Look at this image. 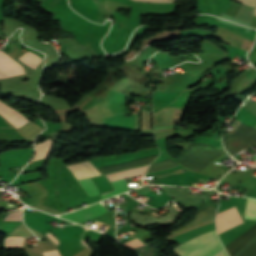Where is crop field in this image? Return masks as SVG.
I'll use <instances>...</instances> for the list:
<instances>
[{
    "label": "crop field",
    "instance_id": "20",
    "mask_svg": "<svg viewBox=\"0 0 256 256\" xmlns=\"http://www.w3.org/2000/svg\"><path fill=\"white\" fill-rule=\"evenodd\" d=\"M4 220H7V221H22L21 210L10 213L9 215L6 216V218Z\"/></svg>",
    "mask_w": 256,
    "mask_h": 256
},
{
    "label": "crop field",
    "instance_id": "25",
    "mask_svg": "<svg viewBox=\"0 0 256 256\" xmlns=\"http://www.w3.org/2000/svg\"><path fill=\"white\" fill-rule=\"evenodd\" d=\"M241 2H244L252 7H256V0H239Z\"/></svg>",
    "mask_w": 256,
    "mask_h": 256
},
{
    "label": "crop field",
    "instance_id": "14",
    "mask_svg": "<svg viewBox=\"0 0 256 256\" xmlns=\"http://www.w3.org/2000/svg\"><path fill=\"white\" fill-rule=\"evenodd\" d=\"M256 230V225L253 226L251 229H249L247 232H245L243 235L238 237L236 240L228 244V246L225 248L226 251L231 254V252L244 240L246 239L251 233H253Z\"/></svg>",
    "mask_w": 256,
    "mask_h": 256
},
{
    "label": "crop field",
    "instance_id": "26",
    "mask_svg": "<svg viewBox=\"0 0 256 256\" xmlns=\"http://www.w3.org/2000/svg\"><path fill=\"white\" fill-rule=\"evenodd\" d=\"M171 127H175V126H171ZM159 128H170V127H159ZM159 128H154V129H159ZM175 128H170V129H159V130H154L155 133H158V132H165V131H171V130H174Z\"/></svg>",
    "mask_w": 256,
    "mask_h": 256
},
{
    "label": "crop field",
    "instance_id": "2",
    "mask_svg": "<svg viewBox=\"0 0 256 256\" xmlns=\"http://www.w3.org/2000/svg\"><path fill=\"white\" fill-rule=\"evenodd\" d=\"M228 150L235 154L246 147L256 145V129L241 123L235 134L225 137Z\"/></svg>",
    "mask_w": 256,
    "mask_h": 256
},
{
    "label": "crop field",
    "instance_id": "13",
    "mask_svg": "<svg viewBox=\"0 0 256 256\" xmlns=\"http://www.w3.org/2000/svg\"><path fill=\"white\" fill-rule=\"evenodd\" d=\"M18 59L21 60L23 63L29 65L30 67L34 68V69L36 68V66L42 60L39 57L32 54L31 52H26L25 54H23Z\"/></svg>",
    "mask_w": 256,
    "mask_h": 256
},
{
    "label": "crop field",
    "instance_id": "8",
    "mask_svg": "<svg viewBox=\"0 0 256 256\" xmlns=\"http://www.w3.org/2000/svg\"><path fill=\"white\" fill-rule=\"evenodd\" d=\"M230 256H256V231L240 244Z\"/></svg>",
    "mask_w": 256,
    "mask_h": 256
},
{
    "label": "crop field",
    "instance_id": "19",
    "mask_svg": "<svg viewBox=\"0 0 256 256\" xmlns=\"http://www.w3.org/2000/svg\"><path fill=\"white\" fill-rule=\"evenodd\" d=\"M151 129V113L142 111V130Z\"/></svg>",
    "mask_w": 256,
    "mask_h": 256
},
{
    "label": "crop field",
    "instance_id": "1",
    "mask_svg": "<svg viewBox=\"0 0 256 256\" xmlns=\"http://www.w3.org/2000/svg\"><path fill=\"white\" fill-rule=\"evenodd\" d=\"M220 244L216 231H209L174 248L177 256H203Z\"/></svg>",
    "mask_w": 256,
    "mask_h": 256
},
{
    "label": "crop field",
    "instance_id": "27",
    "mask_svg": "<svg viewBox=\"0 0 256 256\" xmlns=\"http://www.w3.org/2000/svg\"><path fill=\"white\" fill-rule=\"evenodd\" d=\"M253 16H256V8L254 9V15ZM251 26L256 28V17H253V22H252Z\"/></svg>",
    "mask_w": 256,
    "mask_h": 256
},
{
    "label": "crop field",
    "instance_id": "10",
    "mask_svg": "<svg viewBox=\"0 0 256 256\" xmlns=\"http://www.w3.org/2000/svg\"><path fill=\"white\" fill-rule=\"evenodd\" d=\"M215 215H216V209H214V208L211 207V206H208L206 209H204V210L198 212L197 215H196V217H195V219H194L191 223L186 224V225H184V226H182V227H180V228H178V229L172 231V233H175V232H177V231H180V230H182V229H184V228H187V227H189V226H191V225L200 223V222H202V221L208 220V219L214 217Z\"/></svg>",
    "mask_w": 256,
    "mask_h": 256
},
{
    "label": "crop field",
    "instance_id": "17",
    "mask_svg": "<svg viewBox=\"0 0 256 256\" xmlns=\"http://www.w3.org/2000/svg\"><path fill=\"white\" fill-rule=\"evenodd\" d=\"M178 164H176L174 161H172L171 159L166 160V161H162V162H158L156 164H153L149 167L148 172H155V171H159V170H163V169H167V168H171L174 166H177Z\"/></svg>",
    "mask_w": 256,
    "mask_h": 256
},
{
    "label": "crop field",
    "instance_id": "30",
    "mask_svg": "<svg viewBox=\"0 0 256 256\" xmlns=\"http://www.w3.org/2000/svg\"><path fill=\"white\" fill-rule=\"evenodd\" d=\"M253 165H256V161L253 163Z\"/></svg>",
    "mask_w": 256,
    "mask_h": 256
},
{
    "label": "crop field",
    "instance_id": "11",
    "mask_svg": "<svg viewBox=\"0 0 256 256\" xmlns=\"http://www.w3.org/2000/svg\"><path fill=\"white\" fill-rule=\"evenodd\" d=\"M148 166L149 165L142 166V167L135 168V169L124 170V171L108 174V175H105V176L110 181L130 177V176H135V175L143 174Z\"/></svg>",
    "mask_w": 256,
    "mask_h": 256
},
{
    "label": "crop field",
    "instance_id": "15",
    "mask_svg": "<svg viewBox=\"0 0 256 256\" xmlns=\"http://www.w3.org/2000/svg\"><path fill=\"white\" fill-rule=\"evenodd\" d=\"M112 184H113L115 190L113 192L102 194L101 195L102 199L113 196V195H116V194H119V193H122V192L128 190L124 179L120 180V181L113 182Z\"/></svg>",
    "mask_w": 256,
    "mask_h": 256
},
{
    "label": "crop field",
    "instance_id": "29",
    "mask_svg": "<svg viewBox=\"0 0 256 256\" xmlns=\"http://www.w3.org/2000/svg\"><path fill=\"white\" fill-rule=\"evenodd\" d=\"M135 129H139V117H135Z\"/></svg>",
    "mask_w": 256,
    "mask_h": 256
},
{
    "label": "crop field",
    "instance_id": "22",
    "mask_svg": "<svg viewBox=\"0 0 256 256\" xmlns=\"http://www.w3.org/2000/svg\"><path fill=\"white\" fill-rule=\"evenodd\" d=\"M222 248L221 244L218 245L217 247H215L214 249H212L210 252H208L207 254H205L204 256H213L214 254H216L218 251H220Z\"/></svg>",
    "mask_w": 256,
    "mask_h": 256
},
{
    "label": "crop field",
    "instance_id": "28",
    "mask_svg": "<svg viewBox=\"0 0 256 256\" xmlns=\"http://www.w3.org/2000/svg\"><path fill=\"white\" fill-rule=\"evenodd\" d=\"M214 256H228L227 254H226V252L224 251V249L223 250H221L220 252H218L216 255H214Z\"/></svg>",
    "mask_w": 256,
    "mask_h": 256
},
{
    "label": "crop field",
    "instance_id": "5",
    "mask_svg": "<svg viewBox=\"0 0 256 256\" xmlns=\"http://www.w3.org/2000/svg\"><path fill=\"white\" fill-rule=\"evenodd\" d=\"M2 53V51H0ZM24 74V69L5 53L0 54V78Z\"/></svg>",
    "mask_w": 256,
    "mask_h": 256
},
{
    "label": "crop field",
    "instance_id": "18",
    "mask_svg": "<svg viewBox=\"0 0 256 256\" xmlns=\"http://www.w3.org/2000/svg\"><path fill=\"white\" fill-rule=\"evenodd\" d=\"M244 218L256 220V200L248 198Z\"/></svg>",
    "mask_w": 256,
    "mask_h": 256
},
{
    "label": "crop field",
    "instance_id": "9",
    "mask_svg": "<svg viewBox=\"0 0 256 256\" xmlns=\"http://www.w3.org/2000/svg\"><path fill=\"white\" fill-rule=\"evenodd\" d=\"M175 108H165L154 114L153 126H169L172 125V116Z\"/></svg>",
    "mask_w": 256,
    "mask_h": 256
},
{
    "label": "crop field",
    "instance_id": "12",
    "mask_svg": "<svg viewBox=\"0 0 256 256\" xmlns=\"http://www.w3.org/2000/svg\"><path fill=\"white\" fill-rule=\"evenodd\" d=\"M52 147L51 140H45L35 145V157L33 160L45 158ZM32 160V161H33Z\"/></svg>",
    "mask_w": 256,
    "mask_h": 256
},
{
    "label": "crop field",
    "instance_id": "3",
    "mask_svg": "<svg viewBox=\"0 0 256 256\" xmlns=\"http://www.w3.org/2000/svg\"><path fill=\"white\" fill-rule=\"evenodd\" d=\"M242 222L243 221L236 207L226 210L224 212H221L217 215V218H216V226H217L218 234Z\"/></svg>",
    "mask_w": 256,
    "mask_h": 256
},
{
    "label": "crop field",
    "instance_id": "23",
    "mask_svg": "<svg viewBox=\"0 0 256 256\" xmlns=\"http://www.w3.org/2000/svg\"><path fill=\"white\" fill-rule=\"evenodd\" d=\"M11 128L5 121L4 119L0 116V129H7Z\"/></svg>",
    "mask_w": 256,
    "mask_h": 256
},
{
    "label": "crop field",
    "instance_id": "31",
    "mask_svg": "<svg viewBox=\"0 0 256 256\" xmlns=\"http://www.w3.org/2000/svg\"><path fill=\"white\" fill-rule=\"evenodd\" d=\"M206 201V200H205Z\"/></svg>",
    "mask_w": 256,
    "mask_h": 256
},
{
    "label": "crop field",
    "instance_id": "4",
    "mask_svg": "<svg viewBox=\"0 0 256 256\" xmlns=\"http://www.w3.org/2000/svg\"><path fill=\"white\" fill-rule=\"evenodd\" d=\"M104 212H106V210L99 203H97L95 205L89 206L78 211L71 212L69 214L60 215V217H63L76 223H80L92 219Z\"/></svg>",
    "mask_w": 256,
    "mask_h": 256
},
{
    "label": "crop field",
    "instance_id": "24",
    "mask_svg": "<svg viewBox=\"0 0 256 256\" xmlns=\"http://www.w3.org/2000/svg\"><path fill=\"white\" fill-rule=\"evenodd\" d=\"M42 254H43V256H60L59 253L57 252V250L44 252Z\"/></svg>",
    "mask_w": 256,
    "mask_h": 256
},
{
    "label": "crop field",
    "instance_id": "21",
    "mask_svg": "<svg viewBox=\"0 0 256 256\" xmlns=\"http://www.w3.org/2000/svg\"><path fill=\"white\" fill-rule=\"evenodd\" d=\"M133 1L156 2V3H170V2H176L175 0H133Z\"/></svg>",
    "mask_w": 256,
    "mask_h": 256
},
{
    "label": "crop field",
    "instance_id": "16",
    "mask_svg": "<svg viewBox=\"0 0 256 256\" xmlns=\"http://www.w3.org/2000/svg\"><path fill=\"white\" fill-rule=\"evenodd\" d=\"M78 182L81 184V186L84 188L88 195L95 196L100 194L91 178L79 180Z\"/></svg>",
    "mask_w": 256,
    "mask_h": 256
},
{
    "label": "crop field",
    "instance_id": "6",
    "mask_svg": "<svg viewBox=\"0 0 256 256\" xmlns=\"http://www.w3.org/2000/svg\"><path fill=\"white\" fill-rule=\"evenodd\" d=\"M66 166L72 171L77 179L102 175L89 161Z\"/></svg>",
    "mask_w": 256,
    "mask_h": 256
},
{
    "label": "crop field",
    "instance_id": "7",
    "mask_svg": "<svg viewBox=\"0 0 256 256\" xmlns=\"http://www.w3.org/2000/svg\"><path fill=\"white\" fill-rule=\"evenodd\" d=\"M0 114L4 118H6L11 124H13L17 129L29 121L19 112L11 109L1 101H0Z\"/></svg>",
    "mask_w": 256,
    "mask_h": 256
}]
</instances>
